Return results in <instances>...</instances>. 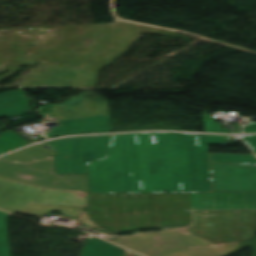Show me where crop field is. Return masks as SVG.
Masks as SVG:
<instances>
[{
    "mask_svg": "<svg viewBox=\"0 0 256 256\" xmlns=\"http://www.w3.org/2000/svg\"><path fill=\"white\" fill-rule=\"evenodd\" d=\"M228 136L114 135L106 159L88 163L89 193L213 192L207 145Z\"/></svg>",
    "mask_w": 256,
    "mask_h": 256,
    "instance_id": "crop-field-1",
    "label": "crop field"
},
{
    "mask_svg": "<svg viewBox=\"0 0 256 256\" xmlns=\"http://www.w3.org/2000/svg\"><path fill=\"white\" fill-rule=\"evenodd\" d=\"M97 75V72L70 65L42 63L20 86L94 87Z\"/></svg>",
    "mask_w": 256,
    "mask_h": 256,
    "instance_id": "crop-field-2",
    "label": "crop field"
},
{
    "mask_svg": "<svg viewBox=\"0 0 256 256\" xmlns=\"http://www.w3.org/2000/svg\"><path fill=\"white\" fill-rule=\"evenodd\" d=\"M26 113H28V103L22 91L0 94V117H13Z\"/></svg>",
    "mask_w": 256,
    "mask_h": 256,
    "instance_id": "crop-field-3",
    "label": "crop field"
},
{
    "mask_svg": "<svg viewBox=\"0 0 256 256\" xmlns=\"http://www.w3.org/2000/svg\"><path fill=\"white\" fill-rule=\"evenodd\" d=\"M124 249L104 242L96 237H88L81 256H121Z\"/></svg>",
    "mask_w": 256,
    "mask_h": 256,
    "instance_id": "crop-field-4",
    "label": "crop field"
},
{
    "mask_svg": "<svg viewBox=\"0 0 256 256\" xmlns=\"http://www.w3.org/2000/svg\"><path fill=\"white\" fill-rule=\"evenodd\" d=\"M212 163L256 165L254 155L210 154Z\"/></svg>",
    "mask_w": 256,
    "mask_h": 256,
    "instance_id": "crop-field-5",
    "label": "crop field"
},
{
    "mask_svg": "<svg viewBox=\"0 0 256 256\" xmlns=\"http://www.w3.org/2000/svg\"><path fill=\"white\" fill-rule=\"evenodd\" d=\"M238 247V242L233 244H220L219 246L211 247L184 256H228L230 252Z\"/></svg>",
    "mask_w": 256,
    "mask_h": 256,
    "instance_id": "crop-field-6",
    "label": "crop field"
},
{
    "mask_svg": "<svg viewBox=\"0 0 256 256\" xmlns=\"http://www.w3.org/2000/svg\"><path fill=\"white\" fill-rule=\"evenodd\" d=\"M9 214L0 212V256H11L6 219Z\"/></svg>",
    "mask_w": 256,
    "mask_h": 256,
    "instance_id": "crop-field-7",
    "label": "crop field"
},
{
    "mask_svg": "<svg viewBox=\"0 0 256 256\" xmlns=\"http://www.w3.org/2000/svg\"><path fill=\"white\" fill-rule=\"evenodd\" d=\"M240 138L256 153V135L240 136Z\"/></svg>",
    "mask_w": 256,
    "mask_h": 256,
    "instance_id": "crop-field-8",
    "label": "crop field"
},
{
    "mask_svg": "<svg viewBox=\"0 0 256 256\" xmlns=\"http://www.w3.org/2000/svg\"><path fill=\"white\" fill-rule=\"evenodd\" d=\"M243 131H244V133L256 132V123L252 122V124L250 126L244 127Z\"/></svg>",
    "mask_w": 256,
    "mask_h": 256,
    "instance_id": "crop-field-9",
    "label": "crop field"
},
{
    "mask_svg": "<svg viewBox=\"0 0 256 256\" xmlns=\"http://www.w3.org/2000/svg\"><path fill=\"white\" fill-rule=\"evenodd\" d=\"M124 256H139V255H137V254H135V253H132V252L126 251V253H125Z\"/></svg>",
    "mask_w": 256,
    "mask_h": 256,
    "instance_id": "crop-field-10",
    "label": "crop field"
},
{
    "mask_svg": "<svg viewBox=\"0 0 256 256\" xmlns=\"http://www.w3.org/2000/svg\"><path fill=\"white\" fill-rule=\"evenodd\" d=\"M19 28H15V29H4V30H0V31H13V30H17Z\"/></svg>",
    "mask_w": 256,
    "mask_h": 256,
    "instance_id": "crop-field-11",
    "label": "crop field"
}]
</instances>
